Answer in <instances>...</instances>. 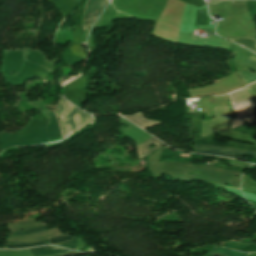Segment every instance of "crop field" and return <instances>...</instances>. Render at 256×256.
<instances>
[{
  "label": "crop field",
  "mask_w": 256,
  "mask_h": 256,
  "mask_svg": "<svg viewBox=\"0 0 256 256\" xmlns=\"http://www.w3.org/2000/svg\"><path fill=\"white\" fill-rule=\"evenodd\" d=\"M195 143L241 148V149H246V150L256 152V147L225 141L223 139H220L214 136H206V137L199 138L195 140ZM199 144H195L196 146L195 152H198V153L218 155V156H224V157H230V158H234L239 155H250V156L256 157V153L250 152V151L234 149V148L199 145Z\"/></svg>",
  "instance_id": "8a807250"
},
{
  "label": "crop field",
  "mask_w": 256,
  "mask_h": 256,
  "mask_svg": "<svg viewBox=\"0 0 256 256\" xmlns=\"http://www.w3.org/2000/svg\"><path fill=\"white\" fill-rule=\"evenodd\" d=\"M57 109L63 126L64 137L93 122L92 116L80 111L65 100L63 95H61V101Z\"/></svg>",
  "instance_id": "ac0d7876"
},
{
  "label": "crop field",
  "mask_w": 256,
  "mask_h": 256,
  "mask_svg": "<svg viewBox=\"0 0 256 256\" xmlns=\"http://www.w3.org/2000/svg\"><path fill=\"white\" fill-rule=\"evenodd\" d=\"M216 118L211 121H202L201 136L231 129L234 112L228 111V107H215Z\"/></svg>",
  "instance_id": "34b2d1b8"
},
{
  "label": "crop field",
  "mask_w": 256,
  "mask_h": 256,
  "mask_svg": "<svg viewBox=\"0 0 256 256\" xmlns=\"http://www.w3.org/2000/svg\"><path fill=\"white\" fill-rule=\"evenodd\" d=\"M106 5V0H105ZM105 8L104 0H88L83 16V29L84 31L95 22L100 13Z\"/></svg>",
  "instance_id": "412701ff"
},
{
  "label": "crop field",
  "mask_w": 256,
  "mask_h": 256,
  "mask_svg": "<svg viewBox=\"0 0 256 256\" xmlns=\"http://www.w3.org/2000/svg\"><path fill=\"white\" fill-rule=\"evenodd\" d=\"M151 143H155L157 146L151 149H148L150 147ZM165 144L157 140L156 138H151L148 141L142 143L141 145L137 146V151L139 154V158H145L148 154L154 152L155 150L163 147Z\"/></svg>",
  "instance_id": "f4fd0767"
},
{
  "label": "crop field",
  "mask_w": 256,
  "mask_h": 256,
  "mask_svg": "<svg viewBox=\"0 0 256 256\" xmlns=\"http://www.w3.org/2000/svg\"><path fill=\"white\" fill-rule=\"evenodd\" d=\"M30 252L33 256H48L52 254H63L71 251L58 248V247H53V246H45V247L30 249Z\"/></svg>",
  "instance_id": "dd49c442"
},
{
  "label": "crop field",
  "mask_w": 256,
  "mask_h": 256,
  "mask_svg": "<svg viewBox=\"0 0 256 256\" xmlns=\"http://www.w3.org/2000/svg\"><path fill=\"white\" fill-rule=\"evenodd\" d=\"M243 64L247 65L248 67H250L251 69L256 71V58L249 56L244 62ZM241 78L243 79V81L247 84L256 81V74L251 73V72H246L242 75H240Z\"/></svg>",
  "instance_id": "e52e79f7"
},
{
  "label": "crop field",
  "mask_w": 256,
  "mask_h": 256,
  "mask_svg": "<svg viewBox=\"0 0 256 256\" xmlns=\"http://www.w3.org/2000/svg\"><path fill=\"white\" fill-rule=\"evenodd\" d=\"M68 240H72V238H70L67 235V236L46 240L41 243L32 244V245L10 244L7 248H25V247L41 246V245H47V244L60 243V242L68 241Z\"/></svg>",
  "instance_id": "d8731c3e"
},
{
  "label": "crop field",
  "mask_w": 256,
  "mask_h": 256,
  "mask_svg": "<svg viewBox=\"0 0 256 256\" xmlns=\"http://www.w3.org/2000/svg\"><path fill=\"white\" fill-rule=\"evenodd\" d=\"M125 118H127L129 121L136 124L137 126L141 127L142 129H144V127L159 123V122H155V121L145 120L143 118L142 114L127 116Z\"/></svg>",
  "instance_id": "5a996713"
},
{
  "label": "crop field",
  "mask_w": 256,
  "mask_h": 256,
  "mask_svg": "<svg viewBox=\"0 0 256 256\" xmlns=\"http://www.w3.org/2000/svg\"><path fill=\"white\" fill-rule=\"evenodd\" d=\"M210 254H215V255L221 254L224 256H247V254L231 251L225 248H216L215 250L211 251Z\"/></svg>",
  "instance_id": "3316defc"
},
{
  "label": "crop field",
  "mask_w": 256,
  "mask_h": 256,
  "mask_svg": "<svg viewBox=\"0 0 256 256\" xmlns=\"http://www.w3.org/2000/svg\"><path fill=\"white\" fill-rule=\"evenodd\" d=\"M232 41L241 43L244 46H246L256 52V45H255V41L253 39H232Z\"/></svg>",
  "instance_id": "28ad6ade"
},
{
  "label": "crop field",
  "mask_w": 256,
  "mask_h": 256,
  "mask_svg": "<svg viewBox=\"0 0 256 256\" xmlns=\"http://www.w3.org/2000/svg\"><path fill=\"white\" fill-rule=\"evenodd\" d=\"M43 230H47L46 225L38 227V228L30 229V230H27L24 232H12L11 235H26L29 233L39 232V231H43Z\"/></svg>",
  "instance_id": "d1516ede"
},
{
  "label": "crop field",
  "mask_w": 256,
  "mask_h": 256,
  "mask_svg": "<svg viewBox=\"0 0 256 256\" xmlns=\"http://www.w3.org/2000/svg\"><path fill=\"white\" fill-rule=\"evenodd\" d=\"M249 245L241 244V243H236V242H228L226 243V247L230 248H235L239 250H243L244 248L248 247Z\"/></svg>",
  "instance_id": "22f410ed"
},
{
  "label": "crop field",
  "mask_w": 256,
  "mask_h": 256,
  "mask_svg": "<svg viewBox=\"0 0 256 256\" xmlns=\"http://www.w3.org/2000/svg\"><path fill=\"white\" fill-rule=\"evenodd\" d=\"M57 245H61V246H64V247H67V248H71V249H75V250H76L77 241H76V239H73V240L70 241V242L61 243V244H57ZM61 246H60V247H61Z\"/></svg>",
  "instance_id": "cbeb9de0"
},
{
  "label": "crop field",
  "mask_w": 256,
  "mask_h": 256,
  "mask_svg": "<svg viewBox=\"0 0 256 256\" xmlns=\"http://www.w3.org/2000/svg\"><path fill=\"white\" fill-rule=\"evenodd\" d=\"M56 113V112H55ZM57 115V114H56ZM60 123V122H59ZM60 127H61V125H60ZM61 131H62V128H61ZM62 135H63V133H62Z\"/></svg>",
  "instance_id": "5142ce71"
},
{
  "label": "crop field",
  "mask_w": 256,
  "mask_h": 256,
  "mask_svg": "<svg viewBox=\"0 0 256 256\" xmlns=\"http://www.w3.org/2000/svg\"><path fill=\"white\" fill-rule=\"evenodd\" d=\"M255 39H256V32H255Z\"/></svg>",
  "instance_id": "d9b57169"
}]
</instances>
